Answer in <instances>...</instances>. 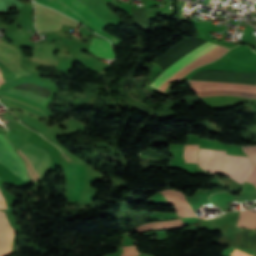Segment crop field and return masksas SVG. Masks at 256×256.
Wrapping results in <instances>:
<instances>
[{
    "label": "crop field",
    "mask_w": 256,
    "mask_h": 256,
    "mask_svg": "<svg viewBox=\"0 0 256 256\" xmlns=\"http://www.w3.org/2000/svg\"><path fill=\"white\" fill-rule=\"evenodd\" d=\"M218 45L212 44V43H205L190 52L188 55L174 63L172 66H170L166 71H164L150 86L156 87L157 89L171 76H173L175 73H177L180 69H182L187 64L191 63L195 59L199 58L203 54L207 53L212 48L216 47ZM229 49L219 46L204 56L200 57L196 61L192 62L188 66L184 67L182 70H180L177 74H175L173 77H171L169 80H167L159 89L165 90L166 86L173 80H176L184 75H186L189 71L195 69L198 66L205 65L213 60L218 59L221 55H223L226 51Z\"/></svg>",
    "instance_id": "crop-field-1"
},
{
    "label": "crop field",
    "mask_w": 256,
    "mask_h": 256,
    "mask_svg": "<svg viewBox=\"0 0 256 256\" xmlns=\"http://www.w3.org/2000/svg\"><path fill=\"white\" fill-rule=\"evenodd\" d=\"M36 2L55 8L56 10L68 15L69 17L83 23L92 31L106 37L109 39L113 45L117 44L120 39L116 37H111L101 30L104 29L107 24H105L101 19H99L95 14H93L89 9H87L78 0H35Z\"/></svg>",
    "instance_id": "crop-field-2"
},
{
    "label": "crop field",
    "mask_w": 256,
    "mask_h": 256,
    "mask_svg": "<svg viewBox=\"0 0 256 256\" xmlns=\"http://www.w3.org/2000/svg\"><path fill=\"white\" fill-rule=\"evenodd\" d=\"M191 86L199 97L234 95L256 99V86L252 85L191 81Z\"/></svg>",
    "instance_id": "crop-field-3"
},
{
    "label": "crop field",
    "mask_w": 256,
    "mask_h": 256,
    "mask_svg": "<svg viewBox=\"0 0 256 256\" xmlns=\"http://www.w3.org/2000/svg\"><path fill=\"white\" fill-rule=\"evenodd\" d=\"M20 150L24 151L26 155H28L31 159V163L33 165V173L35 175L34 182L39 180L51 165V155L45 149L30 141L26 143ZM20 150L18 151V154L25 161L28 178L33 181L34 176L32 174V166L30 164V160L25 155V153Z\"/></svg>",
    "instance_id": "crop-field-4"
},
{
    "label": "crop field",
    "mask_w": 256,
    "mask_h": 256,
    "mask_svg": "<svg viewBox=\"0 0 256 256\" xmlns=\"http://www.w3.org/2000/svg\"><path fill=\"white\" fill-rule=\"evenodd\" d=\"M35 24L38 32L55 31L61 28L62 23L78 26L80 23L52 10L35 3Z\"/></svg>",
    "instance_id": "crop-field-5"
},
{
    "label": "crop field",
    "mask_w": 256,
    "mask_h": 256,
    "mask_svg": "<svg viewBox=\"0 0 256 256\" xmlns=\"http://www.w3.org/2000/svg\"><path fill=\"white\" fill-rule=\"evenodd\" d=\"M251 168L252 163L248 157L226 154L225 161L218 174H224L242 184Z\"/></svg>",
    "instance_id": "crop-field-6"
},
{
    "label": "crop field",
    "mask_w": 256,
    "mask_h": 256,
    "mask_svg": "<svg viewBox=\"0 0 256 256\" xmlns=\"http://www.w3.org/2000/svg\"><path fill=\"white\" fill-rule=\"evenodd\" d=\"M0 162L22 179H26L24 162L11 144L0 134Z\"/></svg>",
    "instance_id": "crop-field-7"
},
{
    "label": "crop field",
    "mask_w": 256,
    "mask_h": 256,
    "mask_svg": "<svg viewBox=\"0 0 256 256\" xmlns=\"http://www.w3.org/2000/svg\"><path fill=\"white\" fill-rule=\"evenodd\" d=\"M6 92L42 105L52 93V91L32 83H21L10 89H7Z\"/></svg>",
    "instance_id": "crop-field-8"
},
{
    "label": "crop field",
    "mask_w": 256,
    "mask_h": 256,
    "mask_svg": "<svg viewBox=\"0 0 256 256\" xmlns=\"http://www.w3.org/2000/svg\"><path fill=\"white\" fill-rule=\"evenodd\" d=\"M164 197L175 208L177 214L180 216H195L191 206L186 201L185 196L176 190H167L161 192Z\"/></svg>",
    "instance_id": "crop-field-9"
},
{
    "label": "crop field",
    "mask_w": 256,
    "mask_h": 256,
    "mask_svg": "<svg viewBox=\"0 0 256 256\" xmlns=\"http://www.w3.org/2000/svg\"><path fill=\"white\" fill-rule=\"evenodd\" d=\"M14 229L8 224L6 214L0 211V256L11 252Z\"/></svg>",
    "instance_id": "crop-field-10"
},
{
    "label": "crop field",
    "mask_w": 256,
    "mask_h": 256,
    "mask_svg": "<svg viewBox=\"0 0 256 256\" xmlns=\"http://www.w3.org/2000/svg\"><path fill=\"white\" fill-rule=\"evenodd\" d=\"M53 49H54V43L36 45L33 52L32 60L42 62V63L55 64L56 59L52 54Z\"/></svg>",
    "instance_id": "crop-field-11"
},
{
    "label": "crop field",
    "mask_w": 256,
    "mask_h": 256,
    "mask_svg": "<svg viewBox=\"0 0 256 256\" xmlns=\"http://www.w3.org/2000/svg\"><path fill=\"white\" fill-rule=\"evenodd\" d=\"M88 52L106 59L115 57L110 42L103 39L94 38Z\"/></svg>",
    "instance_id": "crop-field-12"
},
{
    "label": "crop field",
    "mask_w": 256,
    "mask_h": 256,
    "mask_svg": "<svg viewBox=\"0 0 256 256\" xmlns=\"http://www.w3.org/2000/svg\"><path fill=\"white\" fill-rule=\"evenodd\" d=\"M182 226H184V223L181 221V219H179L175 221L145 224V225L139 226L138 228H136L134 231L130 233L137 231L140 234L149 229L174 228V227H182Z\"/></svg>",
    "instance_id": "crop-field-13"
},
{
    "label": "crop field",
    "mask_w": 256,
    "mask_h": 256,
    "mask_svg": "<svg viewBox=\"0 0 256 256\" xmlns=\"http://www.w3.org/2000/svg\"><path fill=\"white\" fill-rule=\"evenodd\" d=\"M225 157V151L211 150V161L209 171L217 174Z\"/></svg>",
    "instance_id": "crop-field-14"
},
{
    "label": "crop field",
    "mask_w": 256,
    "mask_h": 256,
    "mask_svg": "<svg viewBox=\"0 0 256 256\" xmlns=\"http://www.w3.org/2000/svg\"><path fill=\"white\" fill-rule=\"evenodd\" d=\"M255 215V213L249 210L241 211L237 226L252 228Z\"/></svg>",
    "instance_id": "crop-field-15"
},
{
    "label": "crop field",
    "mask_w": 256,
    "mask_h": 256,
    "mask_svg": "<svg viewBox=\"0 0 256 256\" xmlns=\"http://www.w3.org/2000/svg\"><path fill=\"white\" fill-rule=\"evenodd\" d=\"M197 151H198V145H186L183 153L185 162L197 163Z\"/></svg>",
    "instance_id": "crop-field-16"
},
{
    "label": "crop field",
    "mask_w": 256,
    "mask_h": 256,
    "mask_svg": "<svg viewBox=\"0 0 256 256\" xmlns=\"http://www.w3.org/2000/svg\"><path fill=\"white\" fill-rule=\"evenodd\" d=\"M131 13L134 21L150 27L148 15L145 9L131 10Z\"/></svg>",
    "instance_id": "crop-field-17"
},
{
    "label": "crop field",
    "mask_w": 256,
    "mask_h": 256,
    "mask_svg": "<svg viewBox=\"0 0 256 256\" xmlns=\"http://www.w3.org/2000/svg\"><path fill=\"white\" fill-rule=\"evenodd\" d=\"M210 161V150L200 148L199 166L208 170Z\"/></svg>",
    "instance_id": "crop-field-18"
},
{
    "label": "crop field",
    "mask_w": 256,
    "mask_h": 256,
    "mask_svg": "<svg viewBox=\"0 0 256 256\" xmlns=\"http://www.w3.org/2000/svg\"><path fill=\"white\" fill-rule=\"evenodd\" d=\"M243 151L247 153L251 159V161L256 164V146H245L243 147Z\"/></svg>",
    "instance_id": "crop-field-19"
},
{
    "label": "crop field",
    "mask_w": 256,
    "mask_h": 256,
    "mask_svg": "<svg viewBox=\"0 0 256 256\" xmlns=\"http://www.w3.org/2000/svg\"><path fill=\"white\" fill-rule=\"evenodd\" d=\"M135 248L134 246L124 247V252L122 253L121 256H137L138 253L136 252Z\"/></svg>",
    "instance_id": "crop-field-20"
},
{
    "label": "crop field",
    "mask_w": 256,
    "mask_h": 256,
    "mask_svg": "<svg viewBox=\"0 0 256 256\" xmlns=\"http://www.w3.org/2000/svg\"><path fill=\"white\" fill-rule=\"evenodd\" d=\"M246 181L251 182L256 187V166L253 165V169L246 178Z\"/></svg>",
    "instance_id": "crop-field-21"
},
{
    "label": "crop field",
    "mask_w": 256,
    "mask_h": 256,
    "mask_svg": "<svg viewBox=\"0 0 256 256\" xmlns=\"http://www.w3.org/2000/svg\"><path fill=\"white\" fill-rule=\"evenodd\" d=\"M232 256H252V255L235 249L234 252L232 253Z\"/></svg>",
    "instance_id": "crop-field-22"
},
{
    "label": "crop field",
    "mask_w": 256,
    "mask_h": 256,
    "mask_svg": "<svg viewBox=\"0 0 256 256\" xmlns=\"http://www.w3.org/2000/svg\"><path fill=\"white\" fill-rule=\"evenodd\" d=\"M0 208H3V209H7L8 208L6 203H5V201H4V199H3V197H2V195H1V193H0Z\"/></svg>",
    "instance_id": "crop-field-23"
},
{
    "label": "crop field",
    "mask_w": 256,
    "mask_h": 256,
    "mask_svg": "<svg viewBox=\"0 0 256 256\" xmlns=\"http://www.w3.org/2000/svg\"><path fill=\"white\" fill-rule=\"evenodd\" d=\"M2 83H4V81H3L2 77H1V73H0V85H1Z\"/></svg>",
    "instance_id": "crop-field-24"
},
{
    "label": "crop field",
    "mask_w": 256,
    "mask_h": 256,
    "mask_svg": "<svg viewBox=\"0 0 256 256\" xmlns=\"http://www.w3.org/2000/svg\"><path fill=\"white\" fill-rule=\"evenodd\" d=\"M253 228H256V220H255V223H254V227Z\"/></svg>",
    "instance_id": "crop-field-25"
},
{
    "label": "crop field",
    "mask_w": 256,
    "mask_h": 256,
    "mask_svg": "<svg viewBox=\"0 0 256 256\" xmlns=\"http://www.w3.org/2000/svg\"><path fill=\"white\" fill-rule=\"evenodd\" d=\"M255 255H256V245H255V249H254Z\"/></svg>",
    "instance_id": "crop-field-26"
}]
</instances>
